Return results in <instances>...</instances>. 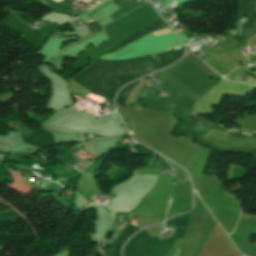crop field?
Here are the masks:
<instances>
[{
    "label": "crop field",
    "mask_w": 256,
    "mask_h": 256,
    "mask_svg": "<svg viewBox=\"0 0 256 256\" xmlns=\"http://www.w3.org/2000/svg\"><path fill=\"white\" fill-rule=\"evenodd\" d=\"M152 33H153L155 36H158V35L170 33V30L165 29V30H160V31L152 32Z\"/></svg>",
    "instance_id": "1"
}]
</instances>
